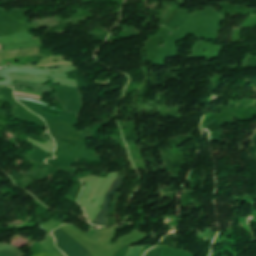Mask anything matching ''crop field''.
<instances>
[{
    "label": "crop field",
    "instance_id": "4",
    "mask_svg": "<svg viewBox=\"0 0 256 256\" xmlns=\"http://www.w3.org/2000/svg\"><path fill=\"white\" fill-rule=\"evenodd\" d=\"M0 256H24L17 248L0 251Z\"/></svg>",
    "mask_w": 256,
    "mask_h": 256
},
{
    "label": "crop field",
    "instance_id": "3",
    "mask_svg": "<svg viewBox=\"0 0 256 256\" xmlns=\"http://www.w3.org/2000/svg\"><path fill=\"white\" fill-rule=\"evenodd\" d=\"M19 85L30 86L35 90V92H29V91H24L22 89H19ZM13 87H14V91H16V92H22V93L38 95V96H41L42 93L45 92V91H51V88L48 87V86L38 85V84H31V83H23V82H17L16 84L13 85ZM16 92H14V94L39 98L38 96H32V95L16 93ZM39 100H41V99L39 98Z\"/></svg>",
    "mask_w": 256,
    "mask_h": 256
},
{
    "label": "crop field",
    "instance_id": "1",
    "mask_svg": "<svg viewBox=\"0 0 256 256\" xmlns=\"http://www.w3.org/2000/svg\"><path fill=\"white\" fill-rule=\"evenodd\" d=\"M56 247L66 256H90V254L59 228L52 231Z\"/></svg>",
    "mask_w": 256,
    "mask_h": 256
},
{
    "label": "crop field",
    "instance_id": "2",
    "mask_svg": "<svg viewBox=\"0 0 256 256\" xmlns=\"http://www.w3.org/2000/svg\"><path fill=\"white\" fill-rule=\"evenodd\" d=\"M120 182H121V177L116 176L114 182L112 183L111 187L109 186L110 188L108 189V191L104 196L102 209L97 214L94 221H92V224L106 226V214L108 210L107 208H108L109 198L113 194V192L118 189V187L120 186Z\"/></svg>",
    "mask_w": 256,
    "mask_h": 256
},
{
    "label": "crop field",
    "instance_id": "6",
    "mask_svg": "<svg viewBox=\"0 0 256 256\" xmlns=\"http://www.w3.org/2000/svg\"><path fill=\"white\" fill-rule=\"evenodd\" d=\"M161 246L160 247H156L154 249H152L151 251L147 252L145 256H159L160 252H161Z\"/></svg>",
    "mask_w": 256,
    "mask_h": 256
},
{
    "label": "crop field",
    "instance_id": "5",
    "mask_svg": "<svg viewBox=\"0 0 256 256\" xmlns=\"http://www.w3.org/2000/svg\"><path fill=\"white\" fill-rule=\"evenodd\" d=\"M143 246L140 247H130L129 251L127 253V256H139V253L141 251Z\"/></svg>",
    "mask_w": 256,
    "mask_h": 256
},
{
    "label": "crop field",
    "instance_id": "7",
    "mask_svg": "<svg viewBox=\"0 0 256 256\" xmlns=\"http://www.w3.org/2000/svg\"><path fill=\"white\" fill-rule=\"evenodd\" d=\"M17 98H18V97H17ZM21 99H24V98H21ZM26 100H31V101H35V102L41 103V102H39V101L32 100V99H26ZM42 104H44V103H42ZM45 105H46V104H45Z\"/></svg>",
    "mask_w": 256,
    "mask_h": 256
}]
</instances>
